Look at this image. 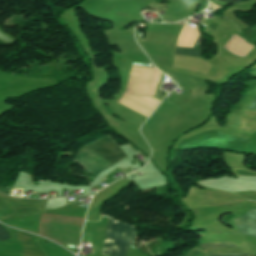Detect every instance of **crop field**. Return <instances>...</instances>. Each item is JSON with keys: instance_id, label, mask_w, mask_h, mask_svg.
<instances>
[{"instance_id": "8a807250", "label": "crop field", "mask_w": 256, "mask_h": 256, "mask_svg": "<svg viewBox=\"0 0 256 256\" xmlns=\"http://www.w3.org/2000/svg\"><path fill=\"white\" fill-rule=\"evenodd\" d=\"M157 72L156 68L132 66L126 92L117 103L148 118L160 103L151 97Z\"/></svg>"}, {"instance_id": "ac0d7876", "label": "crop field", "mask_w": 256, "mask_h": 256, "mask_svg": "<svg viewBox=\"0 0 256 256\" xmlns=\"http://www.w3.org/2000/svg\"><path fill=\"white\" fill-rule=\"evenodd\" d=\"M132 239V227L109 218L101 254L106 256H125Z\"/></svg>"}, {"instance_id": "34b2d1b8", "label": "crop field", "mask_w": 256, "mask_h": 256, "mask_svg": "<svg viewBox=\"0 0 256 256\" xmlns=\"http://www.w3.org/2000/svg\"><path fill=\"white\" fill-rule=\"evenodd\" d=\"M74 161L79 163L81 166L96 176L100 171L112 165L86 146L81 148Z\"/></svg>"}, {"instance_id": "412701ff", "label": "crop field", "mask_w": 256, "mask_h": 256, "mask_svg": "<svg viewBox=\"0 0 256 256\" xmlns=\"http://www.w3.org/2000/svg\"><path fill=\"white\" fill-rule=\"evenodd\" d=\"M86 146H88L90 149L98 153L112 164L127 157L125 153L120 148H118L107 136Z\"/></svg>"}, {"instance_id": "f4fd0767", "label": "crop field", "mask_w": 256, "mask_h": 256, "mask_svg": "<svg viewBox=\"0 0 256 256\" xmlns=\"http://www.w3.org/2000/svg\"><path fill=\"white\" fill-rule=\"evenodd\" d=\"M198 34V29L185 25L179 35L177 46L193 47ZM175 54L201 58V49L176 47Z\"/></svg>"}, {"instance_id": "dd49c442", "label": "crop field", "mask_w": 256, "mask_h": 256, "mask_svg": "<svg viewBox=\"0 0 256 256\" xmlns=\"http://www.w3.org/2000/svg\"><path fill=\"white\" fill-rule=\"evenodd\" d=\"M234 221L240 234L256 237V209L248 210Z\"/></svg>"}, {"instance_id": "e52e79f7", "label": "crop field", "mask_w": 256, "mask_h": 256, "mask_svg": "<svg viewBox=\"0 0 256 256\" xmlns=\"http://www.w3.org/2000/svg\"><path fill=\"white\" fill-rule=\"evenodd\" d=\"M245 41L246 40L234 33L231 38L222 46V49L238 57H245L247 53L254 47Z\"/></svg>"}, {"instance_id": "d8731c3e", "label": "crop field", "mask_w": 256, "mask_h": 256, "mask_svg": "<svg viewBox=\"0 0 256 256\" xmlns=\"http://www.w3.org/2000/svg\"><path fill=\"white\" fill-rule=\"evenodd\" d=\"M234 246H236V245L231 242L199 244V248L201 250L234 247ZM210 256H249V255H210Z\"/></svg>"}, {"instance_id": "5a996713", "label": "crop field", "mask_w": 256, "mask_h": 256, "mask_svg": "<svg viewBox=\"0 0 256 256\" xmlns=\"http://www.w3.org/2000/svg\"><path fill=\"white\" fill-rule=\"evenodd\" d=\"M185 256H206V255L201 250L196 248V249L191 250Z\"/></svg>"}, {"instance_id": "3316defc", "label": "crop field", "mask_w": 256, "mask_h": 256, "mask_svg": "<svg viewBox=\"0 0 256 256\" xmlns=\"http://www.w3.org/2000/svg\"><path fill=\"white\" fill-rule=\"evenodd\" d=\"M9 235L6 230L0 225V241L9 239Z\"/></svg>"}, {"instance_id": "28ad6ade", "label": "crop field", "mask_w": 256, "mask_h": 256, "mask_svg": "<svg viewBox=\"0 0 256 256\" xmlns=\"http://www.w3.org/2000/svg\"><path fill=\"white\" fill-rule=\"evenodd\" d=\"M218 1V0H217ZM221 1H224V2H227V3H229V4H233V3H236V2H238V1H240V0H221ZM221 1H219V2H221ZM224 2H222V3H224ZM226 4V3H225ZM229 4H227V5H229Z\"/></svg>"}, {"instance_id": "d1516ede", "label": "crop field", "mask_w": 256, "mask_h": 256, "mask_svg": "<svg viewBox=\"0 0 256 256\" xmlns=\"http://www.w3.org/2000/svg\"><path fill=\"white\" fill-rule=\"evenodd\" d=\"M249 109H256V98L253 100V102L251 103Z\"/></svg>"}]
</instances>
